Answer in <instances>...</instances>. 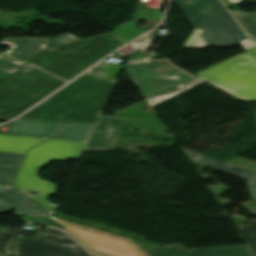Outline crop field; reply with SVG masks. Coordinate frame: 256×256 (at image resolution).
Listing matches in <instances>:
<instances>
[{
	"instance_id": "a9b5d70f",
	"label": "crop field",
	"mask_w": 256,
	"mask_h": 256,
	"mask_svg": "<svg viewBox=\"0 0 256 256\" xmlns=\"http://www.w3.org/2000/svg\"><path fill=\"white\" fill-rule=\"evenodd\" d=\"M162 15V12L139 10L137 17L143 19L160 20L162 19Z\"/></svg>"
},
{
	"instance_id": "28ad6ade",
	"label": "crop field",
	"mask_w": 256,
	"mask_h": 256,
	"mask_svg": "<svg viewBox=\"0 0 256 256\" xmlns=\"http://www.w3.org/2000/svg\"><path fill=\"white\" fill-rule=\"evenodd\" d=\"M142 250L149 256H254L247 245L185 250L178 244Z\"/></svg>"
},
{
	"instance_id": "214f88e0",
	"label": "crop field",
	"mask_w": 256,
	"mask_h": 256,
	"mask_svg": "<svg viewBox=\"0 0 256 256\" xmlns=\"http://www.w3.org/2000/svg\"><path fill=\"white\" fill-rule=\"evenodd\" d=\"M23 63L0 57V86L22 67Z\"/></svg>"
},
{
	"instance_id": "ae1a2a85",
	"label": "crop field",
	"mask_w": 256,
	"mask_h": 256,
	"mask_svg": "<svg viewBox=\"0 0 256 256\" xmlns=\"http://www.w3.org/2000/svg\"><path fill=\"white\" fill-rule=\"evenodd\" d=\"M223 2H224V4H225L227 7L230 6L229 3H228L226 0H223Z\"/></svg>"
},
{
	"instance_id": "ac0d7876",
	"label": "crop field",
	"mask_w": 256,
	"mask_h": 256,
	"mask_svg": "<svg viewBox=\"0 0 256 256\" xmlns=\"http://www.w3.org/2000/svg\"><path fill=\"white\" fill-rule=\"evenodd\" d=\"M159 36L158 27L130 44L133 48L124 65L125 71L148 102L171 97L202 82L171 66L166 60L153 61L145 51Z\"/></svg>"
},
{
	"instance_id": "8a807250",
	"label": "crop field",
	"mask_w": 256,
	"mask_h": 256,
	"mask_svg": "<svg viewBox=\"0 0 256 256\" xmlns=\"http://www.w3.org/2000/svg\"><path fill=\"white\" fill-rule=\"evenodd\" d=\"M89 72L18 120L96 123L117 80L92 76Z\"/></svg>"
},
{
	"instance_id": "5a996713",
	"label": "crop field",
	"mask_w": 256,
	"mask_h": 256,
	"mask_svg": "<svg viewBox=\"0 0 256 256\" xmlns=\"http://www.w3.org/2000/svg\"><path fill=\"white\" fill-rule=\"evenodd\" d=\"M52 160L66 162L67 159L49 158V157H39L26 155L21 167L18 171L16 179L14 181V188L28 194L26 191H41L38 196H31L35 201H37L42 207H44L52 217L55 209L58 205L51 203L48 200L50 195L55 194L56 185L47 182L46 180H41L37 175L42 167L50 164Z\"/></svg>"
},
{
	"instance_id": "d8731c3e",
	"label": "crop field",
	"mask_w": 256,
	"mask_h": 256,
	"mask_svg": "<svg viewBox=\"0 0 256 256\" xmlns=\"http://www.w3.org/2000/svg\"><path fill=\"white\" fill-rule=\"evenodd\" d=\"M75 242L64 232L46 227L41 238L16 240L12 251L14 256H93Z\"/></svg>"
},
{
	"instance_id": "4a817a6b",
	"label": "crop field",
	"mask_w": 256,
	"mask_h": 256,
	"mask_svg": "<svg viewBox=\"0 0 256 256\" xmlns=\"http://www.w3.org/2000/svg\"><path fill=\"white\" fill-rule=\"evenodd\" d=\"M41 226L36 225L34 230L18 229L12 233L0 232V253L11 256L10 248L13 238L16 237H29V236H40L43 232L42 229H38Z\"/></svg>"
},
{
	"instance_id": "d1516ede",
	"label": "crop field",
	"mask_w": 256,
	"mask_h": 256,
	"mask_svg": "<svg viewBox=\"0 0 256 256\" xmlns=\"http://www.w3.org/2000/svg\"><path fill=\"white\" fill-rule=\"evenodd\" d=\"M124 120V118L101 115L85 150L112 149Z\"/></svg>"
},
{
	"instance_id": "eef30255",
	"label": "crop field",
	"mask_w": 256,
	"mask_h": 256,
	"mask_svg": "<svg viewBox=\"0 0 256 256\" xmlns=\"http://www.w3.org/2000/svg\"><path fill=\"white\" fill-rule=\"evenodd\" d=\"M231 5H234V4H238V3H241L243 0H228Z\"/></svg>"
},
{
	"instance_id": "e52e79f7",
	"label": "crop field",
	"mask_w": 256,
	"mask_h": 256,
	"mask_svg": "<svg viewBox=\"0 0 256 256\" xmlns=\"http://www.w3.org/2000/svg\"><path fill=\"white\" fill-rule=\"evenodd\" d=\"M44 140L46 139L0 134V151L24 154L27 148ZM87 143L82 141L50 139L30 149L26 154L79 160Z\"/></svg>"
},
{
	"instance_id": "f4fd0767",
	"label": "crop field",
	"mask_w": 256,
	"mask_h": 256,
	"mask_svg": "<svg viewBox=\"0 0 256 256\" xmlns=\"http://www.w3.org/2000/svg\"><path fill=\"white\" fill-rule=\"evenodd\" d=\"M64 83L37 68L19 71L0 87V119H12Z\"/></svg>"
},
{
	"instance_id": "d9b57169",
	"label": "crop field",
	"mask_w": 256,
	"mask_h": 256,
	"mask_svg": "<svg viewBox=\"0 0 256 256\" xmlns=\"http://www.w3.org/2000/svg\"><path fill=\"white\" fill-rule=\"evenodd\" d=\"M96 124L59 123L52 138L88 141Z\"/></svg>"
},
{
	"instance_id": "d3111659",
	"label": "crop field",
	"mask_w": 256,
	"mask_h": 256,
	"mask_svg": "<svg viewBox=\"0 0 256 256\" xmlns=\"http://www.w3.org/2000/svg\"><path fill=\"white\" fill-rule=\"evenodd\" d=\"M0 256H7V255L0 254Z\"/></svg>"
},
{
	"instance_id": "92a150f3",
	"label": "crop field",
	"mask_w": 256,
	"mask_h": 256,
	"mask_svg": "<svg viewBox=\"0 0 256 256\" xmlns=\"http://www.w3.org/2000/svg\"><path fill=\"white\" fill-rule=\"evenodd\" d=\"M137 24V22H128L116 28L112 32L128 42L133 38L137 37L138 35L142 34L143 32L147 31L143 29H136Z\"/></svg>"
},
{
	"instance_id": "4177f3b9",
	"label": "crop field",
	"mask_w": 256,
	"mask_h": 256,
	"mask_svg": "<svg viewBox=\"0 0 256 256\" xmlns=\"http://www.w3.org/2000/svg\"><path fill=\"white\" fill-rule=\"evenodd\" d=\"M19 216V215H17ZM23 218L21 220H26V221H31V222H36V223H41L44 224L47 218H42V217H32V216H22Z\"/></svg>"
},
{
	"instance_id": "733c2abd",
	"label": "crop field",
	"mask_w": 256,
	"mask_h": 256,
	"mask_svg": "<svg viewBox=\"0 0 256 256\" xmlns=\"http://www.w3.org/2000/svg\"><path fill=\"white\" fill-rule=\"evenodd\" d=\"M23 154L0 152V186L11 187Z\"/></svg>"
},
{
	"instance_id": "730fd06b",
	"label": "crop field",
	"mask_w": 256,
	"mask_h": 256,
	"mask_svg": "<svg viewBox=\"0 0 256 256\" xmlns=\"http://www.w3.org/2000/svg\"><path fill=\"white\" fill-rule=\"evenodd\" d=\"M46 224L49 225V226H53V227H58L59 228V225L52 218H49Z\"/></svg>"
},
{
	"instance_id": "3316defc",
	"label": "crop field",
	"mask_w": 256,
	"mask_h": 256,
	"mask_svg": "<svg viewBox=\"0 0 256 256\" xmlns=\"http://www.w3.org/2000/svg\"><path fill=\"white\" fill-rule=\"evenodd\" d=\"M78 39L79 38L69 33H65L52 38L26 37V38L4 39L0 43V45L8 46L11 49L6 50L5 53L1 52L0 55L15 59L18 61L26 62L37 50H40L52 45H58V44L78 40Z\"/></svg>"
},
{
	"instance_id": "5142ce71",
	"label": "crop field",
	"mask_w": 256,
	"mask_h": 256,
	"mask_svg": "<svg viewBox=\"0 0 256 256\" xmlns=\"http://www.w3.org/2000/svg\"><path fill=\"white\" fill-rule=\"evenodd\" d=\"M3 126H8L7 132L0 133L44 138H50L57 129L54 122L14 121Z\"/></svg>"
},
{
	"instance_id": "22f410ed",
	"label": "crop field",
	"mask_w": 256,
	"mask_h": 256,
	"mask_svg": "<svg viewBox=\"0 0 256 256\" xmlns=\"http://www.w3.org/2000/svg\"><path fill=\"white\" fill-rule=\"evenodd\" d=\"M183 150L188 158L194 163L247 180L251 200L256 202V173L229 165L227 163L192 152L184 148Z\"/></svg>"
},
{
	"instance_id": "34b2d1b8",
	"label": "crop field",
	"mask_w": 256,
	"mask_h": 256,
	"mask_svg": "<svg viewBox=\"0 0 256 256\" xmlns=\"http://www.w3.org/2000/svg\"><path fill=\"white\" fill-rule=\"evenodd\" d=\"M195 28L183 48L229 46L246 37L220 0H175Z\"/></svg>"
},
{
	"instance_id": "cbeb9de0",
	"label": "crop field",
	"mask_w": 256,
	"mask_h": 256,
	"mask_svg": "<svg viewBox=\"0 0 256 256\" xmlns=\"http://www.w3.org/2000/svg\"><path fill=\"white\" fill-rule=\"evenodd\" d=\"M16 209L15 214L47 217L48 214L24 194L13 188H0V213Z\"/></svg>"
},
{
	"instance_id": "00972430",
	"label": "crop field",
	"mask_w": 256,
	"mask_h": 256,
	"mask_svg": "<svg viewBox=\"0 0 256 256\" xmlns=\"http://www.w3.org/2000/svg\"><path fill=\"white\" fill-rule=\"evenodd\" d=\"M35 20H42L45 21L46 23H48L49 25L52 24H58L61 26H65L66 24L60 20H50L49 18H47L46 16H42V17H34V18H25L22 19V25H23V32H29L27 29L26 24L32 23Z\"/></svg>"
},
{
	"instance_id": "bc2a9ffb",
	"label": "crop field",
	"mask_w": 256,
	"mask_h": 256,
	"mask_svg": "<svg viewBox=\"0 0 256 256\" xmlns=\"http://www.w3.org/2000/svg\"><path fill=\"white\" fill-rule=\"evenodd\" d=\"M232 12L247 30V32L256 38V12H244L237 6H234Z\"/></svg>"
},
{
	"instance_id": "412701ff",
	"label": "crop field",
	"mask_w": 256,
	"mask_h": 256,
	"mask_svg": "<svg viewBox=\"0 0 256 256\" xmlns=\"http://www.w3.org/2000/svg\"><path fill=\"white\" fill-rule=\"evenodd\" d=\"M126 43L114 33L108 32L59 45L54 50L46 48L37 51L27 63L69 81ZM65 49L68 51L60 52ZM84 49L88 51L85 52Z\"/></svg>"
},
{
	"instance_id": "dd49c442",
	"label": "crop field",
	"mask_w": 256,
	"mask_h": 256,
	"mask_svg": "<svg viewBox=\"0 0 256 256\" xmlns=\"http://www.w3.org/2000/svg\"><path fill=\"white\" fill-rule=\"evenodd\" d=\"M241 43L246 52L197 72V76L226 91L256 100V41Z\"/></svg>"
},
{
	"instance_id": "dafd665d",
	"label": "crop field",
	"mask_w": 256,
	"mask_h": 256,
	"mask_svg": "<svg viewBox=\"0 0 256 256\" xmlns=\"http://www.w3.org/2000/svg\"><path fill=\"white\" fill-rule=\"evenodd\" d=\"M239 229L256 251V226L241 227Z\"/></svg>"
}]
</instances>
